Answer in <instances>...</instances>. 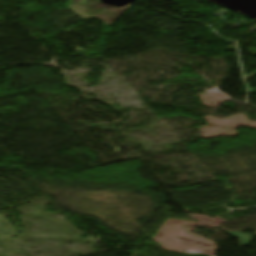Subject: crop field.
<instances>
[{"mask_svg": "<svg viewBox=\"0 0 256 256\" xmlns=\"http://www.w3.org/2000/svg\"><path fill=\"white\" fill-rule=\"evenodd\" d=\"M229 234L240 237L242 240L243 246H249V244L251 243L249 234H239V233H229Z\"/></svg>", "mask_w": 256, "mask_h": 256, "instance_id": "8a807250", "label": "crop field"}]
</instances>
